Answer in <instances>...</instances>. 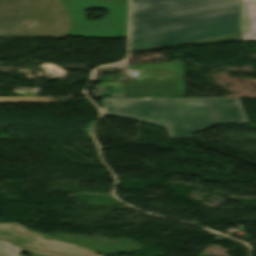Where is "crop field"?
<instances>
[{
  "mask_svg": "<svg viewBox=\"0 0 256 256\" xmlns=\"http://www.w3.org/2000/svg\"><path fill=\"white\" fill-rule=\"evenodd\" d=\"M240 0H132L129 54L239 32Z\"/></svg>",
  "mask_w": 256,
  "mask_h": 256,
  "instance_id": "1",
  "label": "crop field"
},
{
  "mask_svg": "<svg viewBox=\"0 0 256 256\" xmlns=\"http://www.w3.org/2000/svg\"><path fill=\"white\" fill-rule=\"evenodd\" d=\"M104 113L163 125L172 138H192L215 125L206 98H102Z\"/></svg>",
  "mask_w": 256,
  "mask_h": 256,
  "instance_id": "2",
  "label": "crop field"
},
{
  "mask_svg": "<svg viewBox=\"0 0 256 256\" xmlns=\"http://www.w3.org/2000/svg\"><path fill=\"white\" fill-rule=\"evenodd\" d=\"M70 24L59 0L0 1V37L66 38Z\"/></svg>",
  "mask_w": 256,
  "mask_h": 256,
  "instance_id": "3",
  "label": "crop field"
},
{
  "mask_svg": "<svg viewBox=\"0 0 256 256\" xmlns=\"http://www.w3.org/2000/svg\"><path fill=\"white\" fill-rule=\"evenodd\" d=\"M73 23L68 35L92 38H122L127 30L128 0H61ZM94 7V8H92ZM104 8V20L89 22L84 10Z\"/></svg>",
  "mask_w": 256,
  "mask_h": 256,
  "instance_id": "4",
  "label": "crop field"
},
{
  "mask_svg": "<svg viewBox=\"0 0 256 256\" xmlns=\"http://www.w3.org/2000/svg\"><path fill=\"white\" fill-rule=\"evenodd\" d=\"M0 237L17 243L36 256H101L72 244L58 242L53 239L41 240L45 236L29 232L21 224L16 223H0Z\"/></svg>",
  "mask_w": 256,
  "mask_h": 256,
  "instance_id": "5",
  "label": "crop field"
},
{
  "mask_svg": "<svg viewBox=\"0 0 256 256\" xmlns=\"http://www.w3.org/2000/svg\"><path fill=\"white\" fill-rule=\"evenodd\" d=\"M207 99L217 124L248 123L238 99Z\"/></svg>",
  "mask_w": 256,
  "mask_h": 256,
  "instance_id": "6",
  "label": "crop field"
},
{
  "mask_svg": "<svg viewBox=\"0 0 256 256\" xmlns=\"http://www.w3.org/2000/svg\"><path fill=\"white\" fill-rule=\"evenodd\" d=\"M242 40H256V0H242Z\"/></svg>",
  "mask_w": 256,
  "mask_h": 256,
  "instance_id": "7",
  "label": "crop field"
},
{
  "mask_svg": "<svg viewBox=\"0 0 256 256\" xmlns=\"http://www.w3.org/2000/svg\"><path fill=\"white\" fill-rule=\"evenodd\" d=\"M0 102L58 103V100H50V97H0Z\"/></svg>",
  "mask_w": 256,
  "mask_h": 256,
  "instance_id": "8",
  "label": "crop field"
},
{
  "mask_svg": "<svg viewBox=\"0 0 256 256\" xmlns=\"http://www.w3.org/2000/svg\"><path fill=\"white\" fill-rule=\"evenodd\" d=\"M22 249L14 244L0 240V256H20Z\"/></svg>",
  "mask_w": 256,
  "mask_h": 256,
  "instance_id": "9",
  "label": "crop field"
}]
</instances>
